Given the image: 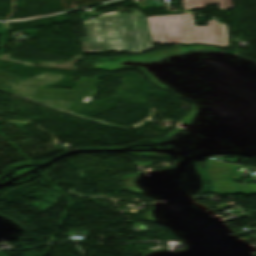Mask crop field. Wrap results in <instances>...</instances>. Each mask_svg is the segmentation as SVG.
Returning a JSON list of instances; mask_svg holds the SVG:
<instances>
[{"instance_id": "crop-field-1", "label": "crop field", "mask_w": 256, "mask_h": 256, "mask_svg": "<svg viewBox=\"0 0 256 256\" xmlns=\"http://www.w3.org/2000/svg\"><path fill=\"white\" fill-rule=\"evenodd\" d=\"M132 11L133 14L120 15L115 12L83 21L86 35V38L80 39L83 52L134 54L152 49L146 16L137 9Z\"/></svg>"}, {"instance_id": "crop-field-2", "label": "crop field", "mask_w": 256, "mask_h": 256, "mask_svg": "<svg viewBox=\"0 0 256 256\" xmlns=\"http://www.w3.org/2000/svg\"><path fill=\"white\" fill-rule=\"evenodd\" d=\"M153 42L161 44H202L226 46L224 26L220 24L222 45L217 23L209 21V27H194L192 14L147 17Z\"/></svg>"}, {"instance_id": "crop-field-3", "label": "crop field", "mask_w": 256, "mask_h": 256, "mask_svg": "<svg viewBox=\"0 0 256 256\" xmlns=\"http://www.w3.org/2000/svg\"><path fill=\"white\" fill-rule=\"evenodd\" d=\"M99 80L81 78L75 90H58L41 88L36 90L35 97L71 100L76 102L71 110L84 111L88 102H91L97 92L95 90Z\"/></svg>"}, {"instance_id": "crop-field-4", "label": "crop field", "mask_w": 256, "mask_h": 256, "mask_svg": "<svg viewBox=\"0 0 256 256\" xmlns=\"http://www.w3.org/2000/svg\"><path fill=\"white\" fill-rule=\"evenodd\" d=\"M219 4L220 9L232 8L231 0H183L185 9L204 8L205 5Z\"/></svg>"}, {"instance_id": "crop-field-5", "label": "crop field", "mask_w": 256, "mask_h": 256, "mask_svg": "<svg viewBox=\"0 0 256 256\" xmlns=\"http://www.w3.org/2000/svg\"><path fill=\"white\" fill-rule=\"evenodd\" d=\"M10 79H20L19 77L0 72V90L8 92L9 87L6 86Z\"/></svg>"}]
</instances>
